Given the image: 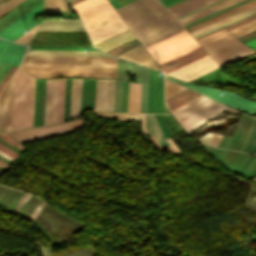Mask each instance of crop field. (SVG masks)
I'll use <instances>...</instances> for the list:
<instances>
[{
	"label": "crop field",
	"mask_w": 256,
	"mask_h": 256,
	"mask_svg": "<svg viewBox=\"0 0 256 256\" xmlns=\"http://www.w3.org/2000/svg\"><path fill=\"white\" fill-rule=\"evenodd\" d=\"M74 8L93 44L127 29L106 0H84Z\"/></svg>",
	"instance_id": "crop-field-1"
},
{
	"label": "crop field",
	"mask_w": 256,
	"mask_h": 256,
	"mask_svg": "<svg viewBox=\"0 0 256 256\" xmlns=\"http://www.w3.org/2000/svg\"><path fill=\"white\" fill-rule=\"evenodd\" d=\"M198 42L220 66L256 53L223 30L202 38Z\"/></svg>",
	"instance_id": "crop-field-2"
},
{
	"label": "crop field",
	"mask_w": 256,
	"mask_h": 256,
	"mask_svg": "<svg viewBox=\"0 0 256 256\" xmlns=\"http://www.w3.org/2000/svg\"><path fill=\"white\" fill-rule=\"evenodd\" d=\"M31 75L17 70L14 82L11 130L28 127Z\"/></svg>",
	"instance_id": "crop-field-3"
},
{
	"label": "crop field",
	"mask_w": 256,
	"mask_h": 256,
	"mask_svg": "<svg viewBox=\"0 0 256 256\" xmlns=\"http://www.w3.org/2000/svg\"><path fill=\"white\" fill-rule=\"evenodd\" d=\"M197 47L199 45L196 41L184 30L147 48V50L157 64L160 65Z\"/></svg>",
	"instance_id": "crop-field-4"
},
{
	"label": "crop field",
	"mask_w": 256,
	"mask_h": 256,
	"mask_svg": "<svg viewBox=\"0 0 256 256\" xmlns=\"http://www.w3.org/2000/svg\"><path fill=\"white\" fill-rule=\"evenodd\" d=\"M22 63H67L68 68H116L113 57L25 56Z\"/></svg>",
	"instance_id": "crop-field-5"
},
{
	"label": "crop field",
	"mask_w": 256,
	"mask_h": 256,
	"mask_svg": "<svg viewBox=\"0 0 256 256\" xmlns=\"http://www.w3.org/2000/svg\"><path fill=\"white\" fill-rule=\"evenodd\" d=\"M135 72L137 83H142L140 112L146 113L149 69L119 60L118 79L115 87L114 111H120L122 79Z\"/></svg>",
	"instance_id": "crop-field-6"
},
{
	"label": "crop field",
	"mask_w": 256,
	"mask_h": 256,
	"mask_svg": "<svg viewBox=\"0 0 256 256\" xmlns=\"http://www.w3.org/2000/svg\"><path fill=\"white\" fill-rule=\"evenodd\" d=\"M85 124L83 118L60 124L46 125L8 132L21 143L77 130Z\"/></svg>",
	"instance_id": "crop-field-7"
},
{
	"label": "crop field",
	"mask_w": 256,
	"mask_h": 256,
	"mask_svg": "<svg viewBox=\"0 0 256 256\" xmlns=\"http://www.w3.org/2000/svg\"><path fill=\"white\" fill-rule=\"evenodd\" d=\"M173 82H176L178 84L187 86L193 90H196L208 97H211L223 104L232 106L234 108L249 112L251 114L256 115V102L246 100L236 94L226 92L223 90L215 89V88H210V87H204V86H198V85H193L189 84L180 80H176L170 77H165ZM224 92L225 94L222 95L221 93Z\"/></svg>",
	"instance_id": "crop-field-8"
},
{
	"label": "crop field",
	"mask_w": 256,
	"mask_h": 256,
	"mask_svg": "<svg viewBox=\"0 0 256 256\" xmlns=\"http://www.w3.org/2000/svg\"><path fill=\"white\" fill-rule=\"evenodd\" d=\"M30 45L92 46L86 32L37 31Z\"/></svg>",
	"instance_id": "crop-field-9"
},
{
	"label": "crop field",
	"mask_w": 256,
	"mask_h": 256,
	"mask_svg": "<svg viewBox=\"0 0 256 256\" xmlns=\"http://www.w3.org/2000/svg\"><path fill=\"white\" fill-rule=\"evenodd\" d=\"M37 78L51 76H84L116 78V69H43L22 68Z\"/></svg>",
	"instance_id": "crop-field-10"
},
{
	"label": "crop field",
	"mask_w": 256,
	"mask_h": 256,
	"mask_svg": "<svg viewBox=\"0 0 256 256\" xmlns=\"http://www.w3.org/2000/svg\"><path fill=\"white\" fill-rule=\"evenodd\" d=\"M41 6H42V2H40L38 5L33 7L31 10H29L24 15H22L17 20L12 22L3 30H1L0 37L13 41L19 36H21L22 34H24L26 30L29 31L30 29H32L35 25L39 23L41 19L39 18L35 22L33 21V17L41 13Z\"/></svg>",
	"instance_id": "crop-field-11"
},
{
	"label": "crop field",
	"mask_w": 256,
	"mask_h": 256,
	"mask_svg": "<svg viewBox=\"0 0 256 256\" xmlns=\"http://www.w3.org/2000/svg\"><path fill=\"white\" fill-rule=\"evenodd\" d=\"M142 130L148 134L158 149L168 148L169 151L182 154L170 138L165 139L155 115L140 114Z\"/></svg>",
	"instance_id": "crop-field-12"
},
{
	"label": "crop field",
	"mask_w": 256,
	"mask_h": 256,
	"mask_svg": "<svg viewBox=\"0 0 256 256\" xmlns=\"http://www.w3.org/2000/svg\"><path fill=\"white\" fill-rule=\"evenodd\" d=\"M147 113H167L163 100L162 75L150 69Z\"/></svg>",
	"instance_id": "crop-field-13"
},
{
	"label": "crop field",
	"mask_w": 256,
	"mask_h": 256,
	"mask_svg": "<svg viewBox=\"0 0 256 256\" xmlns=\"http://www.w3.org/2000/svg\"><path fill=\"white\" fill-rule=\"evenodd\" d=\"M217 66L218 65L213 61V59L207 55L169 74L179 79L188 81L196 76L216 68Z\"/></svg>",
	"instance_id": "crop-field-14"
},
{
	"label": "crop field",
	"mask_w": 256,
	"mask_h": 256,
	"mask_svg": "<svg viewBox=\"0 0 256 256\" xmlns=\"http://www.w3.org/2000/svg\"><path fill=\"white\" fill-rule=\"evenodd\" d=\"M115 79H97L95 108L113 111Z\"/></svg>",
	"instance_id": "crop-field-15"
},
{
	"label": "crop field",
	"mask_w": 256,
	"mask_h": 256,
	"mask_svg": "<svg viewBox=\"0 0 256 256\" xmlns=\"http://www.w3.org/2000/svg\"><path fill=\"white\" fill-rule=\"evenodd\" d=\"M59 79H47L44 124L56 122Z\"/></svg>",
	"instance_id": "crop-field-16"
},
{
	"label": "crop field",
	"mask_w": 256,
	"mask_h": 256,
	"mask_svg": "<svg viewBox=\"0 0 256 256\" xmlns=\"http://www.w3.org/2000/svg\"><path fill=\"white\" fill-rule=\"evenodd\" d=\"M14 76L1 94L0 129L9 131L11 123L12 95Z\"/></svg>",
	"instance_id": "crop-field-17"
},
{
	"label": "crop field",
	"mask_w": 256,
	"mask_h": 256,
	"mask_svg": "<svg viewBox=\"0 0 256 256\" xmlns=\"http://www.w3.org/2000/svg\"><path fill=\"white\" fill-rule=\"evenodd\" d=\"M27 47L0 39V63L19 65Z\"/></svg>",
	"instance_id": "crop-field-18"
},
{
	"label": "crop field",
	"mask_w": 256,
	"mask_h": 256,
	"mask_svg": "<svg viewBox=\"0 0 256 256\" xmlns=\"http://www.w3.org/2000/svg\"><path fill=\"white\" fill-rule=\"evenodd\" d=\"M38 30L85 31L80 20H45Z\"/></svg>",
	"instance_id": "crop-field-19"
},
{
	"label": "crop field",
	"mask_w": 256,
	"mask_h": 256,
	"mask_svg": "<svg viewBox=\"0 0 256 256\" xmlns=\"http://www.w3.org/2000/svg\"><path fill=\"white\" fill-rule=\"evenodd\" d=\"M207 55V53L201 48H197L187 54H184L174 60L171 61L168 65H160L161 69L164 71V73H168L176 68H179L185 64H188L196 59H199L203 56Z\"/></svg>",
	"instance_id": "crop-field-20"
},
{
	"label": "crop field",
	"mask_w": 256,
	"mask_h": 256,
	"mask_svg": "<svg viewBox=\"0 0 256 256\" xmlns=\"http://www.w3.org/2000/svg\"><path fill=\"white\" fill-rule=\"evenodd\" d=\"M135 39L134 35L130 32L129 29L116 34L106 40H103L97 44H95L94 46L107 52L115 47H118L124 43H127L131 40Z\"/></svg>",
	"instance_id": "crop-field-21"
},
{
	"label": "crop field",
	"mask_w": 256,
	"mask_h": 256,
	"mask_svg": "<svg viewBox=\"0 0 256 256\" xmlns=\"http://www.w3.org/2000/svg\"><path fill=\"white\" fill-rule=\"evenodd\" d=\"M119 57L136 62V63L143 64L152 68L159 69V67L155 64V62L151 59V57L147 54V52L143 49L142 46L130 52H127Z\"/></svg>",
	"instance_id": "crop-field-22"
},
{
	"label": "crop field",
	"mask_w": 256,
	"mask_h": 256,
	"mask_svg": "<svg viewBox=\"0 0 256 256\" xmlns=\"http://www.w3.org/2000/svg\"><path fill=\"white\" fill-rule=\"evenodd\" d=\"M26 55L108 56L100 51L28 50Z\"/></svg>",
	"instance_id": "crop-field-23"
},
{
	"label": "crop field",
	"mask_w": 256,
	"mask_h": 256,
	"mask_svg": "<svg viewBox=\"0 0 256 256\" xmlns=\"http://www.w3.org/2000/svg\"><path fill=\"white\" fill-rule=\"evenodd\" d=\"M82 79H72L70 119L79 115Z\"/></svg>",
	"instance_id": "crop-field-24"
},
{
	"label": "crop field",
	"mask_w": 256,
	"mask_h": 256,
	"mask_svg": "<svg viewBox=\"0 0 256 256\" xmlns=\"http://www.w3.org/2000/svg\"><path fill=\"white\" fill-rule=\"evenodd\" d=\"M238 1H240V0H225V1L220 2V3H218V4L214 5V6L209 7V8H207V9H204V10H202V11H200V12H197V13H195V14H193V15H190V16H188V17H186V18H183V19L179 20V22H180L182 25H184V24H186V23H188V22H191V21H193V20H196V19H198V18H200V17H203V16H205V15H207V14H210V13H212V12H214V11H217V10H219V9H222V8H224V7H226V6H229V5L233 4V3H236V2H238Z\"/></svg>",
	"instance_id": "crop-field-25"
},
{
	"label": "crop field",
	"mask_w": 256,
	"mask_h": 256,
	"mask_svg": "<svg viewBox=\"0 0 256 256\" xmlns=\"http://www.w3.org/2000/svg\"><path fill=\"white\" fill-rule=\"evenodd\" d=\"M255 4H256V0H252V1L247 2V3L243 4V5H240V6L236 7V8H233V9H231V10H229V11H226V12H224V13H222V14H219V15H217V16H215V17H212V18H210V19H208V20H205V21H203V22H201V23H198V24H196V25H194V26H191V27L187 28V30H188L189 32H191V31H193V30H195V29H198V28H200V27H203V26H205V25H207V24H210V23H212V22H214V21H217V20H219V19H222V18H224V17H226V16H229V15H231V14H233V13H236V12H238V11H241V10H243V9H245V8H248V7H250V6H252V5H255Z\"/></svg>",
	"instance_id": "crop-field-26"
},
{
	"label": "crop field",
	"mask_w": 256,
	"mask_h": 256,
	"mask_svg": "<svg viewBox=\"0 0 256 256\" xmlns=\"http://www.w3.org/2000/svg\"><path fill=\"white\" fill-rule=\"evenodd\" d=\"M200 94L193 92L189 89L177 94L176 96L166 100L170 110H174L179 106L185 104L186 102L194 99L195 97L199 96Z\"/></svg>",
	"instance_id": "crop-field-27"
},
{
	"label": "crop field",
	"mask_w": 256,
	"mask_h": 256,
	"mask_svg": "<svg viewBox=\"0 0 256 256\" xmlns=\"http://www.w3.org/2000/svg\"><path fill=\"white\" fill-rule=\"evenodd\" d=\"M226 108L227 107L211 100L194 111L208 119Z\"/></svg>",
	"instance_id": "crop-field-28"
},
{
	"label": "crop field",
	"mask_w": 256,
	"mask_h": 256,
	"mask_svg": "<svg viewBox=\"0 0 256 256\" xmlns=\"http://www.w3.org/2000/svg\"><path fill=\"white\" fill-rule=\"evenodd\" d=\"M141 84L130 82L128 112H139Z\"/></svg>",
	"instance_id": "crop-field-29"
},
{
	"label": "crop field",
	"mask_w": 256,
	"mask_h": 256,
	"mask_svg": "<svg viewBox=\"0 0 256 256\" xmlns=\"http://www.w3.org/2000/svg\"><path fill=\"white\" fill-rule=\"evenodd\" d=\"M210 99L204 97V96H199L197 98H195L194 100L188 102L187 104L179 107L178 109L172 111L173 114L176 116V118H180L183 115L189 113L190 111H192L193 109L199 107L200 105L204 104L205 102L209 101Z\"/></svg>",
	"instance_id": "crop-field-30"
},
{
	"label": "crop field",
	"mask_w": 256,
	"mask_h": 256,
	"mask_svg": "<svg viewBox=\"0 0 256 256\" xmlns=\"http://www.w3.org/2000/svg\"><path fill=\"white\" fill-rule=\"evenodd\" d=\"M213 1H215V0H195V1H192V2H190V3L185 4V5H183V6H180V7H178V8H175V9L171 10V13H172L175 17H177V16H179V15H182V14H184V13H186V12H189V11H191V10H194V9H196V8H199V7L203 6V5H206V4H208V3H211V2H213Z\"/></svg>",
	"instance_id": "crop-field-31"
},
{
	"label": "crop field",
	"mask_w": 256,
	"mask_h": 256,
	"mask_svg": "<svg viewBox=\"0 0 256 256\" xmlns=\"http://www.w3.org/2000/svg\"><path fill=\"white\" fill-rule=\"evenodd\" d=\"M94 112L97 114H101L104 116H108V117L123 120V121H135V120L141 119L139 114H124V113L102 112V111H94Z\"/></svg>",
	"instance_id": "crop-field-32"
},
{
	"label": "crop field",
	"mask_w": 256,
	"mask_h": 256,
	"mask_svg": "<svg viewBox=\"0 0 256 256\" xmlns=\"http://www.w3.org/2000/svg\"><path fill=\"white\" fill-rule=\"evenodd\" d=\"M138 46H140V43L137 41V39H135V40H133V41L127 43V44H124V45H122L118 48H115V49H113V50H111L107 53L117 57V56H119V55H121V54H123L127 51H130V50H132V49H134Z\"/></svg>",
	"instance_id": "crop-field-33"
},
{
	"label": "crop field",
	"mask_w": 256,
	"mask_h": 256,
	"mask_svg": "<svg viewBox=\"0 0 256 256\" xmlns=\"http://www.w3.org/2000/svg\"><path fill=\"white\" fill-rule=\"evenodd\" d=\"M255 13H256V9H255V10H252V11H250V12H248V13H245V14H243V15H241V16H238V17H236V18H234V19H231V20H229V21H226V22H224V23H222V24H219V25H217V26H215V27H212V28H210V29H208V30H205V31H203V32H201V33H198V34L194 35V37L197 38V37H199V36L205 35V34L210 33V32H212V31L218 30V29H220L221 27H223V26H225V25H228V24H230V23H233V22H235V21H237V20H240V19H242V18H245V17L250 16V15L255 14Z\"/></svg>",
	"instance_id": "crop-field-34"
},
{
	"label": "crop field",
	"mask_w": 256,
	"mask_h": 256,
	"mask_svg": "<svg viewBox=\"0 0 256 256\" xmlns=\"http://www.w3.org/2000/svg\"><path fill=\"white\" fill-rule=\"evenodd\" d=\"M221 137H222V135H220V134L208 132L207 134H205L197 139H199L200 141H202L210 146L217 147Z\"/></svg>",
	"instance_id": "crop-field-35"
},
{
	"label": "crop field",
	"mask_w": 256,
	"mask_h": 256,
	"mask_svg": "<svg viewBox=\"0 0 256 256\" xmlns=\"http://www.w3.org/2000/svg\"><path fill=\"white\" fill-rule=\"evenodd\" d=\"M68 9L65 0H45L44 10Z\"/></svg>",
	"instance_id": "crop-field-36"
},
{
	"label": "crop field",
	"mask_w": 256,
	"mask_h": 256,
	"mask_svg": "<svg viewBox=\"0 0 256 256\" xmlns=\"http://www.w3.org/2000/svg\"><path fill=\"white\" fill-rule=\"evenodd\" d=\"M165 89H166V99H168L187 88L165 80Z\"/></svg>",
	"instance_id": "crop-field-37"
},
{
	"label": "crop field",
	"mask_w": 256,
	"mask_h": 256,
	"mask_svg": "<svg viewBox=\"0 0 256 256\" xmlns=\"http://www.w3.org/2000/svg\"><path fill=\"white\" fill-rule=\"evenodd\" d=\"M254 25H256V20L255 21H252V22H250V23H248V24H245V25H243V26H240V27H238V28H235V29H233V30H230V31H228V33H230L231 35H233V34H235V33H237V32H240V31H242V30H245V29H247V28H249V27H252V26H254ZM253 30H256V26H254V27H252V28H249V29H247V30H245V31H242V32H240V33H237V34H235V35H233L235 38H237V37H239V36H241V35H244V34H246V33H249V32H251V31H253Z\"/></svg>",
	"instance_id": "crop-field-38"
},
{
	"label": "crop field",
	"mask_w": 256,
	"mask_h": 256,
	"mask_svg": "<svg viewBox=\"0 0 256 256\" xmlns=\"http://www.w3.org/2000/svg\"><path fill=\"white\" fill-rule=\"evenodd\" d=\"M255 8H256V5H255V6H252V7H250V8H248V9H245V10H243V11H241V12H238V13H236V14H233V15H231V16H229V17H226V18H224V19H222V20H219V21H217V22H214V23H212V24H210V25H207V26H205V27H203V28H200V29H198V30H195V31L191 32V34L194 35V34H196V33H198V32H201V31H203V30H205V29H208V28H210V27H212V26H215V25H217V24H219V23H222V22H224V21H226V20H229V19H231V18H234V17H236V16H238V15H241V14H243V13H245V12H248V11H250V10H252V9H255Z\"/></svg>",
	"instance_id": "crop-field-39"
},
{
	"label": "crop field",
	"mask_w": 256,
	"mask_h": 256,
	"mask_svg": "<svg viewBox=\"0 0 256 256\" xmlns=\"http://www.w3.org/2000/svg\"><path fill=\"white\" fill-rule=\"evenodd\" d=\"M255 19H256V14H255V15H252V16H250V17H247V18H245V19H242V20H240V21H237V22H235V23H233V24H230V25H228V26H225V27H223L222 29L228 31V30H230V29H233V28H235V27H238V26H240V25H243V24L248 23V22H250V21H252V20H255ZM220 30H221V29H220ZM218 31H219V30H218ZM215 32H217V31H215ZM212 33H214V32H212ZM212 33H210V34H212ZM207 35H209V34H207ZM207 35H205V36H207ZM205 36H202V37H205ZM202 37H199V38H197L196 40H198V39H200V38H202Z\"/></svg>",
	"instance_id": "crop-field-40"
},
{
	"label": "crop field",
	"mask_w": 256,
	"mask_h": 256,
	"mask_svg": "<svg viewBox=\"0 0 256 256\" xmlns=\"http://www.w3.org/2000/svg\"><path fill=\"white\" fill-rule=\"evenodd\" d=\"M24 0H8L6 3H4L2 6H0V16H2L7 11L13 9L18 4L23 2Z\"/></svg>",
	"instance_id": "crop-field-41"
},
{
	"label": "crop field",
	"mask_w": 256,
	"mask_h": 256,
	"mask_svg": "<svg viewBox=\"0 0 256 256\" xmlns=\"http://www.w3.org/2000/svg\"><path fill=\"white\" fill-rule=\"evenodd\" d=\"M35 78L32 77L29 127L32 126Z\"/></svg>",
	"instance_id": "crop-field-42"
},
{
	"label": "crop field",
	"mask_w": 256,
	"mask_h": 256,
	"mask_svg": "<svg viewBox=\"0 0 256 256\" xmlns=\"http://www.w3.org/2000/svg\"><path fill=\"white\" fill-rule=\"evenodd\" d=\"M0 138L6 140L7 142L13 144L14 146L18 147L21 150H25L26 148L23 147L20 143H18L16 140H14L12 137H10L8 134L6 133H0Z\"/></svg>",
	"instance_id": "crop-field-43"
},
{
	"label": "crop field",
	"mask_w": 256,
	"mask_h": 256,
	"mask_svg": "<svg viewBox=\"0 0 256 256\" xmlns=\"http://www.w3.org/2000/svg\"><path fill=\"white\" fill-rule=\"evenodd\" d=\"M20 67H66V64H21Z\"/></svg>",
	"instance_id": "crop-field-44"
},
{
	"label": "crop field",
	"mask_w": 256,
	"mask_h": 256,
	"mask_svg": "<svg viewBox=\"0 0 256 256\" xmlns=\"http://www.w3.org/2000/svg\"><path fill=\"white\" fill-rule=\"evenodd\" d=\"M17 69V67L12 66V68L9 70V72L7 73V75L5 76V78L2 80V82L0 83V91L3 89V87L5 86V84L8 82V80L11 78V76L13 75V73L15 72V70Z\"/></svg>",
	"instance_id": "crop-field-45"
},
{
	"label": "crop field",
	"mask_w": 256,
	"mask_h": 256,
	"mask_svg": "<svg viewBox=\"0 0 256 256\" xmlns=\"http://www.w3.org/2000/svg\"><path fill=\"white\" fill-rule=\"evenodd\" d=\"M0 150L3 151V152H5V153H7L8 155H10V156H12V157H14V158L18 157L19 154H20V153H18V152H16V151H14V150H12V149H10V148L4 146V145L1 144V143H0Z\"/></svg>",
	"instance_id": "crop-field-46"
},
{
	"label": "crop field",
	"mask_w": 256,
	"mask_h": 256,
	"mask_svg": "<svg viewBox=\"0 0 256 256\" xmlns=\"http://www.w3.org/2000/svg\"><path fill=\"white\" fill-rule=\"evenodd\" d=\"M220 1H223V0H218V1H216V2H213V3H211V4H208V5H206V6H203V7L199 8V9H196V10H194V11H191V12H189V13H186V14H184V15H182V16H179V17H177V20H179V19H181V18H183V17H186V16H188V15H190V14H193V13H195V12H197V11H200V10H202V9H204V8H207V7L211 6V5H214V4H216V3L220 2Z\"/></svg>",
	"instance_id": "crop-field-47"
},
{
	"label": "crop field",
	"mask_w": 256,
	"mask_h": 256,
	"mask_svg": "<svg viewBox=\"0 0 256 256\" xmlns=\"http://www.w3.org/2000/svg\"><path fill=\"white\" fill-rule=\"evenodd\" d=\"M45 202H41V204L37 207V209L32 213V215L30 216V219L34 220V218L36 217V215L39 213V211L41 210L42 206L44 205Z\"/></svg>",
	"instance_id": "crop-field-48"
},
{
	"label": "crop field",
	"mask_w": 256,
	"mask_h": 256,
	"mask_svg": "<svg viewBox=\"0 0 256 256\" xmlns=\"http://www.w3.org/2000/svg\"><path fill=\"white\" fill-rule=\"evenodd\" d=\"M190 1H192V0H185V1H182V2H180V3H177V4L173 5V6L168 7V9L171 10V9H173V8H175V7H178V6H180V5H183V4H185V3H187V2H190Z\"/></svg>",
	"instance_id": "crop-field-49"
},
{
	"label": "crop field",
	"mask_w": 256,
	"mask_h": 256,
	"mask_svg": "<svg viewBox=\"0 0 256 256\" xmlns=\"http://www.w3.org/2000/svg\"><path fill=\"white\" fill-rule=\"evenodd\" d=\"M10 166H11V165H9V164H7V163H5V162H3V161L0 160V167H1V168L7 170V169L10 168Z\"/></svg>",
	"instance_id": "crop-field-50"
},
{
	"label": "crop field",
	"mask_w": 256,
	"mask_h": 256,
	"mask_svg": "<svg viewBox=\"0 0 256 256\" xmlns=\"http://www.w3.org/2000/svg\"><path fill=\"white\" fill-rule=\"evenodd\" d=\"M246 44L256 49V39L253 40V41H250V42H248Z\"/></svg>",
	"instance_id": "crop-field-51"
},
{
	"label": "crop field",
	"mask_w": 256,
	"mask_h": 256,
	"mask_svg": "<svg viewBox=\"0 0 256 256\" xmlns=\"http://www.w3.org/2000/svg\"><path fill=\"white\" fill-rule=\"evenodd\" d=\"M0 155L3 156V157H5V158H7V159H9V160H11V161L14 160V158H12V157H10V156H8V155L2 153V152H0Z\"/></svg>",
	"instance_id": "crop-field-52"
},
{
	"label": "crop field",
	"mask_w": 256,
	"mask_h": 256,
	"mask_svg": "<svg viewBox=\"0 0 256 256\" xmlns=\"http://www.w3.org/2000/svg\"><path fill=\"white\" fill-rule=\"evenodd\" d=\"M173 1H175V0H164V1H162V3H163L164 5H166V4L171 3V2H173Z\"/></svg>",
	"instance_id": "crop-field-53"
},
{
	"label": "crop field",
	"mask_w": 256,
	"mask_h": 256,
	"mask_svg": "<svg viewBox=\"0 0 256 256\" xmlns=\"http://www.w3.org/2000/svg\"><path fill=\"white\" fill-rule=\"evenodd\" d=\"M80 1H82V0H73V1H71V4L74 5V4H76V3L80 2Z\"/></svg>",
	"instance_id": "crop-field-54"
},
{
	"label": "crop field",
	"mask_w": 256,
	"mask_h": 256,
	"mask_svg": "<svg viewBox=\"0 0 256 256\" xmlns=\"http://www.w3.org/2000/svg\"><path fill=\"white\" fill-rule=\"evenodd\" d=\"M248 201H251V200L248 199ZM251 202H253V201H251ZM248 203H249V202H248ZM253 203H255V202H253ZM250 204H251V203H250ZM255 204H256V203H255ZM252 205H253V204H252ZM254 206H255V205H254Z\"/></svg>",
	"instance_id": "crop-field-55"
},
{
	"label": "crop field",
	"mask_w": 256,
	"mask_h": 256,
	"mask_svg": "<svg viewBox=\"0 0 256 256\" xmlns=\"http://www.w3.org/2000/svg\"><path fill=\"white\" fill-rule=\"evenodd\" d=\"M0 175H1V173H0Z\"/></svg>",
	"instance_id": "crop-field-56"
},
{
	"label": "crop field",
	"mask_w": 256,
	"mask_h": 256,
	"mask_svg": "<svg viewBox=\"0 0 256 256\" xmlns=\"http://www.w3.org/2000/svg\"><path fill=\"white\" fill-rule=\"evenodd\" d=\"M250 198V197H249ZM253 199V198H252Z\"/></svg>",
	"instance_id": "crop-field-57"
},
{
	"label": "crop field",
	"mask_w": 256,
	"mask_h": 256,
	"mask_svg": "<svg viewBox=\"0 0 256 256\" xmlns=\"http://www.w3.org/2000/svg\"><path fill=\"white\" fill-rule=\"evenodd\" d=\"M160 1H162V0H160Z\"/></svg>",
	"instance_id": "crop-field-58"
},
{
	"label": "crop field",
	"mask_w": 256,
	"mask_h": 256,
	"mask_svg": "<svg viewBox=\"0 0 256 256\" xmlns=\"http://www.w3.org/2000/svg\"><path fill=\"white\" fill-rule=\"evenodd\" d=\"M69 1H71V0H69Z\"/></svg>",
	"instance_id": "crop-field-59"
}]
</instances>
